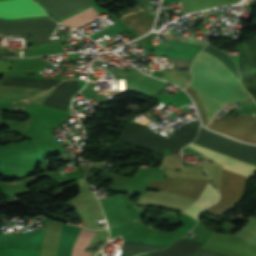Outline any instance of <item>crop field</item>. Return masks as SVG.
Returning a JSON list of instances; mask_svg holds the SVG:
<instances>
[{
  "instance_id": "crop-field-6",
  "label": "crop field",
  "mask_w": 256,
  "mask_h": 256,
  "mask_svg": "<svg viewBox=\"0 0 256 256\" xmlns=\"http://www.w3.org/2000/svg\"><path fill=\"white\" fill-rule=\"evenodd\" d=\"M147 50H154V53L161 56L192 61L196 54L203 48L192 44L169 39L156 46L147 43L142 45ZM194 60V59H193Z\"/></svg>"
},
{
  "instance_id": "crop-field-1",
  "label": "crop field",
  "mask_w": 256,
  "mask_h": 256,
  "mask_svg": "<svg viewBox=\"0 0 256 256\" xmlns=\"http://www.w3.org/2000/svg\"><path fill=\"white\" fill-rule=\"evenodd\" d=\"M194 143L210 150L256 165V146L236 142L216 133H210L203 128H201L199 137L194 141ZM188 146L209 157L210 159L222 164L223 168L225 169L249 177L256 174V166L199 147L193 143ZM225 169H223L222 182L220 186V193L222 195L221 200H219L216 205L206 210V212L216 217L222 216L226 211L235 207L242 200L245 194L246 183L249 179V177Z\"/></svg>"
},
{
  "instance_id": "crop-field-3",
  "label": "crop field",
  "mask_w": 256,
  "mask_h": 256,
  "mask_svg": "<svg viewBox=\"0 0 256 256\" xmlns=\"http://www.w3.org/2000/svg\"><path fill=\"white\" fill-rule=\"evenodd\" d=\"M179 181L180 178L168 177L164 181L149 184L148 188L152 190L159 189L162 191L174 193L179 185ZM206 183V180L182 178L178 190L175 193L197 199ZM218 199V190L214 189L207 183L198 199L193 202L186 210H184V213L195 219H198V216Z\"/></svg>"
},
{
  "instance_id": "crop-field-2",
  "label": "crop field",
  "mask_w": 256,
  "mask_h": 256,
  "mask_svg": "<svg viewBox=\"0 0 256 256\" xmlns=\"http://www.w3.org/2000/svg\"><path fill=\"white\" fill-rule=\"evenodd\" d=\"M192 74L190 85L201 96L211 121L224 105L252 98L241 86L239 75L203 50L192 65ZM191 86L188 93L197 107L203 125H206L210 122L208 114L199 95Z\"/></svg>"
},
{
  "instance_id": "crop-field-4",
  "label": "crop field",
  "mask_w": 256,
  "mask_h": 256,
  "mask_svg": "<svg viewBox=\"0 0 256 256\" xmlns=\"http://www.w3.org/2000/svg\"><path fill=\"white\" fill-rule=\"evenodd\" d=\"M206 127L240 141L256 144V118L241 115L219 119Z\"/></svg>"
},
{
  "instance_id": "crop-field-11",
  "label": "crop field",
  "mask_w": 256,
  "mask_h": 256,
  "mask_svg": "<svg viewBox=\"0 0 256 256\" xmlns=\"http://www.w3.org/2000/svg\"><path fill=\"white\" fill-rule=\"evenodd\" d=\"M136 256H147L146 254H140V255H136Z\"/></svg>"
},
{
  "instance_id": "crop-field-10",
  "label": "crop field",
  "mask_w": 256,
  "mask_h": 256,
  "mask_svg": "<svg viewBox=\"0 0 256 256\" xmlns=\"http://www.w3.org/2000/svg\"><path fill=\"white\" fill-rule=\"evenodd\" d=\"M168 61L171 63H176L175 65L176 68L188 69L190 68V64H191V62L189 61H183V60H177V59H171V58H168Z\"/></svg>"
},
{
  "instance_id": "crop-field-7",
  "label": "crop field",
  "mask_w": 256,
  "mask_h": 256,
  "mask_svg": "<svg viewBox=\"0 0 256 256\" xmlns=\"http://www.w3.org/2000/svg\"><path fill=\"white\" fill-rule=\"evenodd\" d=\"M0 13L32 14L45 12L32 0H6L0 2Z\"/></svg>"
},
{
  "instance_id": "crop-field-5",
  "label": "crop field",
  "mask_w": 256,
  "mask_h": 256,
  "mask_svg": "<svg viewBox=\"0 0 256 256\" xmlns=\"http://www.w3.org/2000/svg\"><path fill=\"white\" fill-rule=\"evenodd\" d=\"M59 227L58 224L46 222L41 256H55ZM72 232L73 228L61 225L56 256H70Z\"/></svg>"
},
{
  "instance_id": "crop-field-9",
  "label": "crop field",
  "mask_w": 256,
  "mask_h": 256,
  "mask_svg": "<svg viewBox=\"0 0 256 256\" xmlns=\"http://www.w3.org/2000/svg\"><path fill=\"white\" fill-rule=\"evenodd\" d=\"M178 72H181V71H178ZM178 72H174L166 69L164 75L162 76V79L173 82L179 85L183 90L187 91V85L189 84L190 79L192 77L191 72H181L185 74L187 77H189L190 79Z\"/></svg>"
},
{
  "instance_id": "crop-field-8",
  "label": "crop field",
  "mask_w": 256,
  "mask_h": 256,
  "mask_svg": "<svg viewBox=\"0 0 256 256\" xmlns=\"http://www.w3.org/2000/svg\"><path fill=\"white\" fill-rule=\"evenodd\" d=\"M94 9L97 11L98 15L106 12L116 22L120 20L117 16H115L113 13H111L107 9L101 8L99 6L94 7ZM94 9H93V7H91V8H89V9H87V10H85V11H83V12H81V13H79V14H77V15H75V16H73V17H71V18H69V19H67L63 22H61V23H64V24L69 25L73 28H76V27H78V26H80V25H82V24H84V23H86V22H88V21L97 17V13Z\"/></svg>"
}]
</instances>
